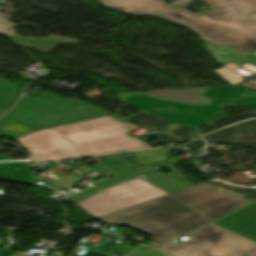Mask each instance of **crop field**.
<instances>
[{"label": "crop field", "mask_w": 256, "mask_h": 256, "mask_svg": "<svg viewBox=\"0 0 256 256\" xmlns=\"http://www.w3.org/2000/svg\"><path fill=\"white\" fill-rule=\"evenodd\" d=\"M103 6L132 16H154L183 25L203 41L230 49L251 52L256 49V0H201L212 8L194 14L184 7L193 0H98Z\"/></svg>", "instance_id": "8a807250"}, {"label": "crop field", "mask_w": 256, "mask_h": 256, "mask_svg": "<svg viewBox=\"0 0 256 256\" xmlns=\"http://www.w3.org/2000/svg\"><path fill=\"white\" fill-rule=\"evenodd\" d=\"M96 219L144 228L143 233L154 236V241L162 245L210 222L170 194Z\"/></svg>", "instance_id": "ac0d7876"}, {"label": "crop field", "mask_w": 256, "mask_h": 256, "mask_svg": "<svg viewBox=\"0 0 256 256\" xmlns=\"http://www.w3.org/2000/svg\"><path fill=\"white\" fill-rule=\"evenodd\" d=\"M106 115L89 104L42 93L34 98L24 96L4 117L33 129L43 130Z\"/></svg>", "instance_id": "34b2d1b8"}, {"label": "crop field", "mask_w": 256, "mask_h": 256, "mask_svg": "<svg viewBox=\"0 0 256 256\" xmlns=\"http://www.w3.org/2000/svg\"><path fill=\"white\" fill-rule=\"evenodd\" d=\"M138 128L106 116L86 122L56 127L65 138L86 156L122 150L151 148L148 144L127 135Z\"/></svg>", "instance_id": "412701ff"}, {"label": "crop field", "mask_w": 256, "mask_h": 256, "mask_svg": "<svg viewBox=\"0 0 256 256\" xmlns=\"http://www.w3.org/2000/svg\"><path fill=\"white\" fill-rule=\"evenodd\" d=\"M178 245L167 244L158 249L165 256H242L256 243L213 223L190 234Z\"/></svg>", "instance_id": "f4fd0767"}, {"label": "crop field", "mask_w": 256, "mask_h": 256, "mask_svg": "<svg viewBox=\"0 0 256 256\" xmlns=\"http://www.w3.org/2000/svg\"><path fill=\"white\" fill-rule=\"evenodd\" d=\"M168 194L138 178L106 190L76 204L96 218Z\"/></svg>", "instance_id": "dd49c442"}, {"label": "crop field", "mask_w": 256, "mask_h": 256, "mask_svg": "<svg viewBox=\"0 0 256 256\" xmlns=\"http://www.w3.org/2000/svg\"><path fill=\"white\" fill-rule=\"evenodd\" d=\"M138 110L149 115L163 118L199 129L220 114L221 106H194L158 100L145 95L133 94L124 99Z\"/></svg>", "instance_id": "e52e79f7"}, {"label": "crop field", "mask_w": 256, "mask_h": 256, "mask_svg": "<svg viewBox=\"0 0 256 256\" xmlns=\"http://www.w3.org/2000/svg\"><path fill=\"white\" fill-rule=\"evenodd\" d=\"M171 194L211 221L250 203L243 194L208 183Z\"/></svg>", "instance_id": "d8731c3e"}, {"label": "crop field", "mask_w": 256, "mask_h": 256, "mask_svg": "<svg viewBox=\"0 0 256 256\" xmlns=\"http://www.w3.org/2000/svg\"><path fill=\"white\" fill-rule=\"evenodd\" d=\"M32 153V160H63L85 156L54 128L16 140Z\"/></svg>", "instance_id": "5a996713"}, {"label": "crop field", "mask_w": 256, "mask_h": 256, "mask_svg": "<svg viewBox=\"0 0 256 256\" xmlns=\"http://www.w3.org/2000/svg\"><path fill=\"white\" fill-rule=\"evenodd\" d=\"M155 166H161L164 169L169 170L171 173L167 175L158 173L153 168ZM142 174H146L145 175L146 178L143 180L155 185L156 187L168 193L194 186L191 182H189L188 180H186L185 178H183L181 175L177 173V171L175 170L173 164L170 162L169 159L140 167L134 171H131L125 174H121L112 178L105 179L95 185L99 188H104L116 183H120L126 180L136 178Z\"/></svg>", "instance_id": "3316defc"}, {"label": "crop field", "mask_w": 256, "mask_h": 256, "mask_svg": "<svg viewBox=\"0 0 256 256\" xmlns=\"http://www.w3.org/2000/svg\"><path fill=\"white\" fill-rule=\"evenodd\" d=\"M203 95L215 98L211 104L256 106V89L241 86L209 87Z\"/></svg>", "instance_id": "28ad6ade"}, {"label": "crop field", "mask_w": 256, "mask_h": 256, "mask_svg": "<svg viewBox=\"0 0 256 256\" xmlns=\"http://www.w3.org/2000/svg\"><path fill=\"white\" fill-rule=\"evenodd\" d=\"M214 223L256 241V202Z\"/></svg>", "instance_id": "d1516ede"}, {"label": "crop field", "mask_w": 256, "mask_h": 256, "mask_svg": "<svg viewBox=\"0 0 256 256\" xmlns=\"http://www.w3.org/2000/svg\"><path fill=\"white\" fill-rule=\"evenodd\" d=\"M28 163H7L0 164V179L22 183H35L36 179L30 175L33 172L26 171Z\"/></svg>", "instance_id": "22f410ed"}, {"label": "crop field", "mask_w": 256, "mask_h": 256, "mask_svg": "<svg viewBox=\"0 0 256 256\" xmlns=\"http://www.w3.org/2000/svg\"><path fill=\"white\" fill-rule=\"evenodd\" d=\"M9 39H11L14 42V44H16L20 47H24V48L38 51V52L45 53V54L50 52L55 47L66 43V42L56 40L53 38L30 39V38H24L21 36H17V35L10 36Z\"/></svg>", "instance_id": "cbeb9de0"}, {"label": "crop field", "mask_w": 256, "mask_h": 256, "mask_svg": "<svg viewBox=\"0 0 256 256\" xmlns=\"http://www.w3.org/2000/svg\"><path fill=\"white\" fill-rule=\"evenodd\" d=\"M102 158L104 159L105 162L90 164V166L106 178L112 177V174L109 172V170L106 167L109 165L127 162L129 166L132 168V170L140 167V164L138 163L137 159L124 160L121 153L104 155L102 156Z\"/></svg>", "instance_id": "5142ce71"}, {"label": "crop field", "mask_w": 256, "mask_h": 256, "mask_svg": "<svg viewBox=\"0 0 256 256\" xmlns=\"http://www.w3.org/2000/svg\"><path fill=\"white\" fill-rule=\"evenodd\" d=\"M22 89L0 79V107L8 110L17 100Z\"/></svg>", "instance_id": "d9b57169"}, {"label": "crop field", "mask_w": 256, "mask_h": 256, "mask_svg": "<svg viewBox=\"0 0 256 256\" xmlns=\"http://www.w3.org/2000/svg\"><path fill=\"white\" fill-rule=\"evenodd\" d=\"M168 150L165 149H154V150H145V151H136L133 154L136 156L141 166L150 164L159 160L168 158Z\"/></svg>", "instance_id": "733c2abd"}, {"label": "crop field", "mask_w": 256, "mask_h": 256, "mask_svg": "<svg viewBox=\"0 0 256 256\" xmlns=\"http://www.w3.org/2000/svg\"><path fill=\"white\" fill-rule=\"evenodd\" d=\"M34 131H36V130H33V129L23 126L21 124L14 123L8 127L1 129L0 136H7L10 138L16 139V138L27 135Z\"/></svg>", "instance_id": "4a817a6b"}, {"label": "crop field", "mask_w": 256, "mask_h": 256, "mask_svg": "<svg viewBox=\"0 0 256 256\" xmlns=\"http://www.w3.org/2000/svg\"><path fill=\"white\" fill-rule=\"evenodd\" d=\"M99 191H100L99 189H97L95 187H91V188H89V189H87V190H85V191H83V192H81V193H79V194L69 198V200H71L73 203L76 204V203H78V202H80V201L90 197L91 195H93V194H95V193H97Z\"/></svg>", "instance_id": "bc2a9ffb"}, {"label": "crop field", "mask_w": 256, "mask_h": 256, "mask_svg": "<svg viewBox=\"0 0 256 256\" xmlns=\"http://www.w3.org/2000/svg\"><path fill=\"white\" fill-rule=\"evenodd\" d=\"M16 24L10 23L8 22L6 19H4L1 15H0V33L9 35L14 33V28L16 27Z\"/></svg>", "instance_id": "214f88e0"}, {"label": "crop field", "mask_w": 256, "mask_h": 256, "mask_svg": "<svg viewBox=\"0 0 256 256\" xmlns=\"http://www.w3.org/2000/svg\"><path fill=\"white\" fill-rule=\"evenodd\" d=\"M129 256H160L159 254L146 249L144 247H140L139 249H137L135 252H133L131 255Z\"/></svg>", "instance_id": "92a150f3"}, {"label": "crop field", "mask_w": 256, "mask_h": 256, "mask_svg": "<svg viewBox=\"0 0 256 256\" xmlns=\"http://www.w3.org/2000/svg\"><path fill=\"white\" fill-rule=\"evenodd\" d=\"M12 123H14V122L9 121V120H7V119L1 117V118H0V129L3 128V127H5V126H8V125H10V124H12Z\"/></svg>", "instance_id": "dafd665d"}, {"label": "crop field", "mask_w": 256, "mask_h": 256, "mask_svg": "<svg viewBox=\"0 0 256 256\" xmlns=\"http://www.w3.org/2000/svg\"><path fill=\"white\" fill-rule=\"evenodd\" d=\"M85 253V252H84ZM81 256V255H80ZM82 256H105V255H102V254H99V253H96V252H93V251H90L88 250L85 254H83Z\"/></svg>", "instance_id": "00972430"}, {"label": "crop field", "mask_w": 256, "mask_h": 256, "mask_svg": "<svg viewBox=\"0 0 256 256\" xmlns=\"http://www.w3.org/2000/svg\"><path fill=\"white\" fill-rule=\"evenodd\" d=\"M11 254L8 252V249L0 248V256H10Z\"/></svg>", "instance_id": "a9b5d70f"}, {"label": "crop field", "mask_w": 256, "mask_h": 256, "mask_svg": "<svg viewBox=\"0 0 256 256\" xmlns=\"http://www.w3.org/2000/svg\"><path fill=\"white\" fill-rule=\"evenodd\" d=\"M245 256H256V249L251 251L250 253H248L247 255Z\"/></svg>", "instance_id": "4177f3b9"}, {"label": "crop field", "mask_w": 256, "mask_h": 256, "mask_svg": "<svg viewBox=\"0 0 256 256\" xmlns=\"http://www.w3.org/2000/svg\"><path fill=\"white\" fill-rule=\"evenodd\" d=\"M6 110L0 109V115L4 114Z\"/></svg>", "instance_id": "730fd06b"}, {"label": "crop field", "mask_w": 256, "mask_h": 256, "mask_svg": "<svg viewBox=\"0 0 256 256\" xmlns=\"http://www.w3.org/2000/svg\"><path fill=\"white\" fill-rule=\"evenodd\" d=\"M5 159H9V158H6V157H3V156H0V160H5Z\"/></svg>", "instance_id": "eef30255"}]
</instances>
